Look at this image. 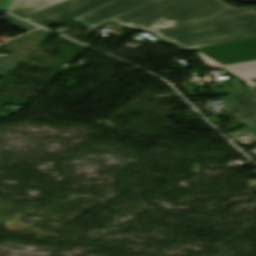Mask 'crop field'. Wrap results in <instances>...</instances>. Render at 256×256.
<instances>
[{
  "label": "crop field",
  "instance_id": "1",
  "mask_svg": "<svg viewBox=\"0 0 256 256\" xmlns=\"http://www.w3.org/2000/svg\"><path fill=\"white\" fill-rule=\"evenodd\" d=\"M74 20L93 29L114 20L184 50L256 36V9L223 0H114Z\"/></svg>",
  "mask_w": 256,
  "mask_h": 256
},
{
  "label": "crop field",
  "instance_id": "2",
  "mask_svg": "<svg viewBox=\"0 0 256 256\" xmlns=\"http://www.w3.org/2000/svg\"><path fill=\"white\" fill-rule=\"evenodd\" d=\"M198 50L208 67L225 69L244 79L247 88L256 87V38Z\"/></svg>",
  "mask_w": 256,
  "mask_h": 256
},
{
  "label": "crop field",
  "instance_id": "3",
  "mask_svg": "<svg viewBox=\"0 0 256 256\" xmlns=\"http://www.w3.org/2000/svg\"><path fill=\"white\" fill-rule=\"evenodd\" d=\"M112 0H69L26 20L46 28L65 23Z\"/></svg>",
  "mask_w": 256,
  "mask_h": 256
},
{
  "label": "crop field",
  "instance_id": "4",
  "mask_svg": "<svg viewBox=\"0 0 256 256\" xmlns=\"http://www.w3.org/2000/svg\"><path fill=\"white\" fill-rule=\"evenodd\" d=\"M248 90L251 94L228 96L232 105L228 111L234 120L247 127L256 125V88Z\"/></svg>",
  "mask_w": 256,
  "mask_h": 256
},
{
  "label": "crop field",
  "instance_id": "5",
  "mask_svg": "<svg viewBox=\"0 0 256 256\" xmlns=\"http://www.w3.org/2000/svg\"><path fill=\"white\" fill-rule=\"evenodd\" d=\"M67 0H23L10 13L23 19Z\"/></svg>",
  "mask_w": 256,
  "mask_h": 256
},
{
  "label": "crop field",
  "instance_id": "6",
  "mask_svg": "<svg viewBox=\"0 0 256 256\" xmlns=\"http://www.w3.org/2000/svg\"><path fill=\"white\" fill-rule=\"evenodd\" d=\"M241 80H226V81H218L216 85H206V86H196L198 93H200L201 87H210L215 95L218 94H244L249 93V91L245 90L240 83ZM229 82L233 84L234 87H230ZM215 86H221L223 89H217ZM196 95V94H195Z\"/></svg>",
  "mask_w": 256,
  "mask_h": 256
},
{
  "label": "crop field",
  "instance_id": "7",
  "mask_svg": "<svg viewBox=\"0 0 256 256\" xmlns=\"http://www.w3.org/2000/svg\"><path fill=\"white\" fill-rule=\"evenodd\" d=\"M17 64L13 57L0 52V77H5Z\"/></svg>",
  "mask_w": 256,
  "mask_h": 256
},
{
  "label": "crop field",
  "instance_id": "8",
  "mask_svg": "<svg viewBox=\"0 0 256 256\" xmlns=\"http://www.w3.org/2000/svg\"><path fill=\"white\" fill-rule=\"evenodd\" d=\"M4 18H6V19H8V20H10V21H12V22H14V23L11 24L12 26H14V27H16V28H19V29H21V30H24V31H26V32H29V31H31V30L37 28V27H35V26H33V25H31V24H29V23L23 21V20H20V19H18V18H15V17H13V16H10V15H8V16H6V17H4Z\"/></svg>",
  "mask_w": 256,
  "mask_h": 256
},
{
  "label": "crop field",
  "instance_id": "9",
  "mask_svg": "<svg viewBox=\"0 0 256 256\" xmlns=\"http://www.w3.org/2000/svg\"><path fill=\"white\" fill-rule=\"evenodd\" d=\"M239 133L250 134L252 137L256 138V126L241 129V130H237V131H234V132H230L231 135L239 134Z\"/></svg>",
  "mask_w": 256,
  "mask_h": 256
},
{
  "label": "crop field",
  "instance_id": "10",
  "mask_svg": "<svg viewBox=\"0 0 256 256\" xmlns=\"http://www.w3.org/2000/svg\"><path fill=\"white\" fill-rule=\"evenodd\" d=\"M19 0H0V9L7 11Z\"/></svg>",
  "mask_w": 256,
  "mask_h": 256
},
{
  "label": "crop field",
  "instance_id": "11",
  "mask_svg": "<svg viewBox=\"0 0 256 256\" xmlns=\"http://www.w3.org/2000/svg\"><path fill=\"white\" fill-rule=\"evenodd\" d=\"M8 102H9L8 99H6L4 97H0V107L7 104ZM12 114H13L12 112L0 110V117L9 118Z\"/></svg>",
  "mask_w": 256,
  "mask_h": 256
},
{
  "label": "crop field",
  "instance_id": "12",
  "mask_svg": "<svg viewBox=\"0 0 256 256\" xmlns=\"http://www.w3.org/2000/svg\"><path fill=\"white\" fill-rule=\"evenodd\" d=\"M2 20H6V19H4V18L0 19V21H2ZM7 21H8V20H7ZM8 22H10V21H8ZM10 23H12V22H10Z\"/></svg>",
  "mask_w": 256,
  "mask_h": 256
}]
</instances>
